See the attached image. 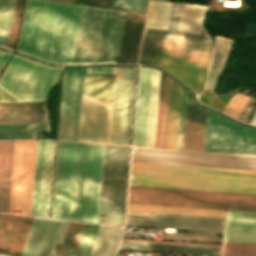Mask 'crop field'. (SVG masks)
<instances>
[{
    "label": "crop field",
    "instance_id": "425ffa30",
    "mask_svg": "<svg viewBox=\"0 0 256 256\" xmlns=\"http://www.w3.org/2000/svg\"><path fill=\"white\" fill-rule=\"evenodd\" d=\"M122 240L142 241V242H157V241H143V240H129V239H122ZM157 243H171V242H157ZM171 244L200 245V244H186V243H171ZM200 246H214V245H200ZM214 247H221V246H214Z\"/></svg>",
    "mask_w": 256,
    "mask_h": 256
},
{
    "label": "crop field",
    "instance_id": "00972430",
    "mask_svg": "<svg viewBox=\"0 0 256 256\" xmlns=\"http://www.w3.org/2000/svg\"><path fill=\"white\" fill-rule=\"evenodd\" d=\"M119 249L219 256L221 248L121 241Z\"/></svg>",
    "mask_w": 256,
    "mask_h": 256
},
{
    "label": "crop field",
    "instance_id": "214f88e0",
    "mask_svg": "<svg viewBox=\"0 0 256 256\" xmlns=\"http://www.w3.org/2000/svg\"><path fill=\"white\" fill-rule=\"evenodd\" d=\"M145 16L127 13L117 64L136 63Z\"/></svg>",
    "mask_w": 256,
    "mask_h": 256
},
{
    "label": "crop field",
    "instance_id": "5142ce71",
    "mask_svg": "<svg viewBox=\"0 0 256 256\" xmlns=\"http://www.w3.org/2000/svg\"><path fill=\"white\" fill-rule=\"evenodd\" d=\"M55 141H38L31 215L48 217Z\"/></svg>",
    "mask_w": 256,
    "mask_h": 256
},
{
    "label": "crop field",
    "instance_id": "d32e631a",
    "mask_svg": "<svg viewBox=\"0 0 256 256\" xmlns=\"http://www.w3.org/2000/svg\"><path fill=\"white\" fill-rule=\"evenodd\" d=\"M222 256H256V244L224 242Z\"/></svg>",
    "mask_w": 256,
    "mask_h": 256
},
{
    "label": "crop field",
    "instance_id": "bc2a9ffb",
    "mask_svg": "<svg viewBox=\"0 0 256 256\" xmlns=\"http://www.w3.org/2000/svg\"><path fill=\"white\" fill-rule=\"evenodd\" d=\"M61 223L35 219L22 256H51Z\"/></svg>",
    "mask_w": 256,
    "mask_h": 256
},
{
    "label": "crop field",
    "instance_id": "3316defc",
    "mask_svg": "<svg viewBox=\"0 0 256 256\" xmlns=\"http://www.w3.org/2000/svg\"><path fill=\"white\" fill-rule=\"evenodd\" d=\"M136 71L116 68L109 144L129 146Z\"/></svg>",
    "mask_w": 256,
    "mask_h": 256
},
{
    "label": "crop field",
    "instance_id": "b80d0937",
    "mask_svg": "<svg viewBox=\"0 0 256 256\" xmlns=\"http://www.w3.org/2000/svg\"><path fill=\"white\" fill-rule=\"evenodd\" d=\"M22 4H23V0H16L11 30H10V35H9V41H8V46H7V48L10 50L14 49V44H15Z\"/></svg>",
    "mask_w": 256,
    "mask_h": 256
},
{
    "label": "crop field",
    "instance_id": "bd1437ed",
    "mask_svg": "<svg viewBox=\"0 0 256 256\" xmlns=\"http://www.w3.org/2000/svg\"><path fill=\"white\" fill-rule=\"evenodd\" d=\"M33 218L20 216L8 251L9 256H20Z\"/></svg>",
    "mask_w": 256,
    "mask_h": 256
},
{
    "label": "crop field",
    "instance_id": "d3111659",
    "mask_svg": "<svg viewBox=\"0 0 256 256\" xmlns=\"http://www.w3.org/2000/svg\"><path fill=\"white\" fill-rule=\"evenodd\" d=\"M128 210L134 211H148V212H162V213H176V214H190V215H204V216H218L224 217L225 211L218 210H204V209H190V208H176V207H162V206H148V205H134L128 204Z\"/></svg>",
    "mask_w": 256,
    "mask_h": 256
},
{
    "label": "crop field",
    "instance_id": "412701ff",
    "mask_svg": "<svg viewBox=\"0 0 256 256\" xmlns=\"http://www.w3.org/2000/svg\"><path fill=\"white\" fill-rule=\"evenodd\" d=\"M124 15L85 6L74 64H115Z\"/></svg>",
    "mask_w": 256,
    "mask_h": 256
},
{
    "label": "crop field",
    "instance_id": "1f2cbd36",
    "mask_svg": "<svg viewBox=\"0 0 256 256\" xmlns=\"http://www.w3.org/2000/svg\"><path fill=\"white\" fill-rule=\"evenodd\" d=\"M63 1H70V2H73V0H63Z\"/></svg>",
    "mask_w": 256,
    "mask_h": 256
},
{
    "label": "crop field",
    "instance_id": "e52e79f7",
    "mask_svg": "<svg viewBox=\"0 0 256 256\" xmlns=\"http://www.w3.org/2000/svg\"><path fill=\"white\" fill-rule=\"evenodd\" d=\"M130 148L105 145L98 223L123 226Z\"/></svg>",
    "mask_w": 256,
    "mask_h": 256
},
{
    "label": "crop field",
    "instance_id": "a9b5d70f",
    "mask_svg": "<svg viewBox=\"0 0 256 256\" xmlns=\"http://www.w3.org/2000/svg\"><path fill=\"white\" fill-rule=\"evenodd\" d=\"M14 141H0V211L7 212Z\"/></svg>",
    "mask_w": 256,
    "mask_h": 256
},
{
    "label": "crop field",
    "instance_id": "0bd39190",
    "mask_svg": "<svg viewBox=\"0 0 256 256\" xmlns=\"http://www.w3.org/2000/svg\"><path fill=\"white\" fill-rule=\"evenodd\" d=\"M165 75L161 73L154 147L159 148Z\"/></svg>",
    "mask_w": 256,
    "mask_h": 256
},
{
    "label": "crop field",
    "instance_id": "028f5c9d",
    "mask_svg": "<svg viewBox=\"0 0 256 256\" xmlns=\"http://www.w3.org/2000/svg\"><path fill=\"white\" fill-rule=\"evenodd\" d=\"M85 225L70 222L62 245L77 248Z\"/></svg>",
    "mask_w": 256,
    "mask_h": 256
},
{
    "label": "crop field",
    "instance_id": "25e5ab78",
    "mask_svg": "<svg viewBox=\"0 0 256 256\" xmlns=\"http://www.w3.org/2000/svg\"><path fill=\"white\" fill-rule=\"evenodd\" d=\"M205 114H206V108H204V112H203V123H202V135H201V146H200V151H202V146H203V135H204V125H205Z\"/></svg>",
    "mask_w": 256,
    "mask_h": 256
},
{
    "label": "crop field",
    "instance_id": "ac0d7876",
    "mask_svg": "<svg viewBox=\"0 0 256 256\" xmlns=\"http://www.w3.org/2000/svg\"><path fill=\"white\" fill-rule=\"evenodd\" d=\"M83 6L27 0L17 51L71 64Z\"/></svg>",
    "mask_w": 256,
    "mask_h": 256
},
{
    "label": "crop field",
    "instance_id": "73cf0c24",
    "mask_svg": "<svg viewBox=\"0 0 256 256\" xmlns=\"http://www.w3.org/2000/svg\"><path fill=\"white\" fill-rule=\"evenodd\" d=\"M214 154H220V153H214ZM221 155H235V154H221ZM236 156H250V155H236ZM251 157H256V156H251Z\"/></svg>",
    "mask_w": 256,
    "mask_h": 256
},
{
    "label": "crop field",
    "instance_id": "d9b57169",
    "mask_svg": "<svg viewBox=\"0 0 256 256\" xmlns=\"http://www.w3.org/2000/svg\"><path fill=\"white\" fill-rule=\"evenodd\" d=\"M172 79L167 77L160 148H165ZM182 86L173 81L166 149H176ZM187 90L183 88L177 149H181Z\"/></svg>",
    "mask_w": 256,
    "mask_h": 256
},
{
    "label": "crop field",
    "instance_id": "8a807250",
    "mask_svg": "<svg viewBox=\"0 0 256 256\" xmlns=\"http://www.w3.org/2000/svg\"><path fill=\"white\" fill-rule=\"evenodd\" d=\"M103 150L59 141L51 217L97 223Z\"/></svg>",
    "mask_w": 256,
    "mask_h": 256
},
{
    "label": "crop field",
    "instance_id": "120bbe31",
    "mask_svg": "<svg viewBox=\"0 0 256 256\" xmlns=\"http://www.w3.org/2000/svg\"><path fill=\"white\" fill-rule=\"evenodd\" d=\"M144 36L210 42L208 35L149 28H145Z\"/></svg>",
    "mask_w": 256,
    "mask_h": 256
},
{
    "label": "crop field",
    "instance_id": "cbeb9de0",
    "mask_svg": "<svg viewBox=\"0 0 256 256\" xmlns=\"http://www.w3.org/2000/svg\"><path fill=\"white\" fill-rule=\"evenodd\" d=\"M129 203L256 212V201L130 192Z\"/></svg>",
    "mask_w": 256,
    "mask_h": 256
},
{
    "label": "crop field",
    "instance_id": "dbb93151",
    "mask_svg": "<svg viewBox=\"0 0 256 256\" xmlns=\"http://www.w3.org/2000/svg\"><path fill=\"white\" fill-rule=\"evenodd\" d=\"M1 215V214H0Z\"/></svg>",
    "mask_w": 256,
    "mask_h": 256
},
{
    "label": "crop field",
    "instance_id": "28ad6ade",
    "mask_svg": "<svg viewBox=\"0 0 256 256\" xmlns=\"http://www.w3.org/2000/svg\"><path fill=\"white\" fill-rule=\"evenodd\" d=\"M37 141H15L9 209L30 215Z\"/></svg>",
    "mask_w": 256,
    "mask_h": 256
},
{
    "label": "crop field",
    "instance_id": "dd49c442",
    "mask_svg": "<svg viewBox=\"0 0 256 256\" xmlns=\"http://www.w3.org/2000/svg\"><path fill=\"white\" fill-rule=\"evenodd\" d=\"M60 69L13 55L0 78V88L18 101H43ZM2 90L0 103L17 102Z\"/></svg>",
    "mask_w": 256,
    "mask_h": 256
},
{
    "label": "crop field",
    "instance_id": "d1516ede",
    "mask_svg": "<svg viewBox=\"0 0 256 256\" xmlns=\"http://www.w3.org/2000/svg\"><path fill=\"white\" fill-rule=\"evenodd\" d=\"M132 161L256 170V158L135 149Z\"/></svg>",
    "mask_w": 256,
    "mask_h": 256
},
{
    "label": "crop field",
    "instance_id": "c21b1889",
    "mask_svg": "<svg viewBox=\"0 0 256 256\" xmlns=\"http://www.w3.org/2000/svg\"><path fill=\"white\" fill-rule=\"evenodd\" d=\"M19 216L11 215L0 247V254L6 255Z\"/></svg>",
    "mask_w": 256,
    "mask_h": 256
},
{
    "label": "crop field",
    "instance_id": "730fd06b",
    "mask_svg": "<svg viewBox=\"0 0 256 256\" xmlns=\"http://www.w3.org/2000/svg\"><path fill=\"white\" fill-rule=\"evenodd\" d=\"M127 218L215 223V224H223V221H224V218H217V217H203V216H189V215H175V214H161V213H147V212H133V211H127Z\"/></svg>",
    "mask_w": 256,
    "mask_h": 256
},
{
    "label": "crop field",
    "instance_id": "22f410ed",
    "mask_svg": "<svg viewBox=\"0 0 256 256\" xmlns=\"http://www.w3.org/2000/svg\"><path fill=\"white\" fill-rule=\"evenodd\" d=\"M151 69L140 68L133 146L144 147ZM160 72L152 69L145 147H153Z\"/></svg>",
    "mask_w": 256,
    "mask_h": 256
},
{
    "label": "crop field",
    "instance_id": "d8731c3e",
    "mask_svg": "<svg viewBox=\"0 0 256 256\" xmlns=\"http://www.w3.org/2000/svg\"><path fill=\"white\" fill-rule=\"evenodd\" d=\"M210 52L209 44L164 39L158 67L166 69L199 94Z\"/></svg>",
    "mask_w": 256,
    "mask_h": 256
},
{
    "label": "crop field",
    "instance_id": "5d738f31",
    "mask_svg": "<svg viewBox=\"0 0 256 256\" xmlns=\"http://www.w3.org/2000/svg\"><path fill=\"white\" fill-rule=\"evenodd\" d=\"M10 215L2 214L0 218V244Z\"/></svg>",
    "mask_w": 256,
    "mask_h": 256
},
{
    "label": "crop field",
    "instance_id": "eef30255",
    "mask_svg": "<svg viewBox=\"0 0 256 256\" xmlns=\"http://www.w3.org/2000/svg\"><path fill=\"white\" fill-rule=\"evenodd\" d=\"M228 39L215 37V44L212 52L211 63L205 90H213L216 77L223 65L228 50Z\"/></svg>",
    "mask_w": 256,
    "mask_h": 256
},
{
    "label": "crop field",
    "instance_id": "89e229c0",
    "mask_svg": "<svg viewBox=\"0 0 256 256\" xmlns=\"http://www.w3.org/2000/svg\"><path fill=\"white\" fill-rule=\"evenodd\" d=\"M255 120H256V114L254 115V117H253V119H252V121H251V124H254ZM255 125H256V124H255Z\"/></svg>",
    "mask_w": 256,
    "mask_h": 256
},
{
    "label": "crop field",
    "instance_id": "03da06ac",
    "mask_svg": "<svg viewBox=\"0 0 256 256\" xmlns=\"http://www.w3.org/2000/svg\"><path fill=\"white\" fill-rule=\"evenodd\" d=\"M129 191L151 192V193H166V194H180V195H195V196H210V197H224V198H239V199H253V200H256V198H253V197H239V196L209 195V194H195V193H180V192H165V191H151V190H136V189H129Z\"/></svg>",
    "mask_w": 256,
    "mask_h": 256
},
{
    "label": "crop field",
    "instance_id": "1d83c4d3",
    "mask_svg": "<svg viewBox=\"0 0 256 256\" xmlns=\"http://www.w3.org/2000/svg\"><path fill=\"white\" fill-rule=\"evenodd\" d=\"M15 0H0V46L6 48Z\"/></svg>",
    "mask_w": 256,
    "mask_h": 256
},
{
    "label": "crop field",
    "instance_id": "92a150f3",
    "mask_svg": "<svg viewBox=\"0 0 256 256\" xmlns=\"http://www.w3.org/2000/svg\"><path fill=\"white\" fill-rule=\"evenodd\" d=\"M224 241L256 243V214L227 212Z\"/></svg>",
    "mask_w": 256,
    "mask_h": 256
},
{
    "label": "crop field",
    "instance_id": "4177f3b9",
    "mask_svg": "<svg viewBox=\"0 0 256 256\" xmlns=\"http://www.w3.org/2000/svg\"><path fill=\"white\" fill-rule=\"evenodd\" d=\"M123 229L100 226L90 256H114Z\"/></svg>",
    "mask_w": 256,
    "mask_h": 256
},
{
    "label": "crop field",
    "instance_id": "e1f06a70",
    "mask_svg": "<svg viewBox=\"0 0 256 256\" xmlns=\"http://www.w3.org/2000/svg\"><path fill=\"white\" fill-rule=\"evenodd\" d=\"M146 0H115L110 8L145 14Z\"/></svg>",
    "mask_w": 256,
    "mask_h": 256
},
{
    "label": "crop field",
    "instance_id": "750c4746",
    "mask_svg": "<svg viewBox=\"0 0 256 256\" xmlns=\"http://www.w3.org/2000/svg\"><path fill=\"white\" fill-rule=\"evenodd\" d=\"M163 39L143 37L138 64L158 65Z\"/></svg>",
    "mask_w": 256,
    "mask_h": 256
},
{
    "label": "crop field",
    "instance_id": "733c2abd",
    "mask_svg": "<svg viewBox=\"0 0 256 256\" xmlns=\"http://www.w3.org/2000/svg\"><path fill=\"white\" fill-rule=\"evenodd\" d=\"M84 68H66L59 135L78 137Z\"/></svg>",
    "mask_w": 256,
    "mask_h": 256
},
{
    "label": "crop field",
    "instance_id": "ae1a2a85",
    "mask_svg": "<svg viewBox=\"0 0 256 256\" xmlns=\"http://www.w3.org/2000/svg\"><path fill=\"white\" fill-rule=\"evenodd\" d=\"M34 131H47V124L0 125V140L34 139Z\"/></svg>",
    "mask_w": 256,
    "mask_h": 256
},
{
    "label": "crop field",
    "instance_id": "dafd665d",
    "mask_svg": "<svg viewBox=\"0 0 256 256\" xmlns=\"http://www.w3.org/2000/svg\"><path fill=\"white\" fill-rule=\"evenodd\" d=\"M202 112L188 92L182 149L199 151Z\"/></svg>",
    "mask_w": 256,
    "mask_h": 256
},
{
    "label": "crop field",
    "instance_id": "4a817a6b",
    "mask_svg": "<svg viewBox=\"0 0 256 256\" xmlns=\"http://www.w3.org/2000/svg\"><path fill=\"white\" fill-rule=\"evenodd\" d=\"M168 3L149 1L148 18L145 27L164 29ZM206 6L188 4L182 19L180 31L199 33Z\"/></svg>",
    "mask_w": 256,
    "mask_h": 256
},
{
    "label": "crop field",
    "instance_id": "b54c1fbb",
    "mask_svg": "<svg viewBox=\"0 0 256 256\" xmlns=\"http://www.w3.org/2000/svg\"><path fill=\"white\" fill-rule=\"evenodd\" d=\"M129 188L151 189V190H166V191H180V192H195V193H210V194H224V195H239V196H254V197H256V195H254V194L209 192V191H195V190H180V189H165V188H151V187H136V186H129Z\"/></svg>",
    "mask_w": 256,
    "mask_h": 256
},
{
    "label": "crop field",
    "instance_id": "d23c7cc5",
    "mask_svg": "<svg viewBox=\"0 0 256 256\" xmlns=\"http://www.w3.org/2000/svg\"><path fill=\"white\" fill-rule=\"evenodd\" d=\"M11 54L6 53L0 50V72L4 68L5 64L7 63L8 59L10 58Z\"/></svg>",
    "mask_w": 256,
    "mask_h": 256
},
{
    "label": "crop field",
    "instance_id": "5866460e",
    "mask_svg": "<svg viewBox=\"0 0 256 256\" xmlns=\"http://www.w3.org/2000/svg\"><path fill=\"white\" fill-rule=\"evenodd\" d=\"M99 226L87 224L76 256H89Z\"/></svg>",
    "mask_w": 256,
    "mask_h": 256
},
{
    "label": "crop field",
    "instance_id": "f4fd0767",
    "mask_svg": "<svg viewBox=\"0 0 256 256\" xmlns=\"http://www.w3.org/2000/svg\"><path fill=\"white\" fill-rule=\"evenodd\" d=\"M115 68H87L114 73ZM114 74H84L83 92L111 104ZM83 93L78 141L108 144L111 105Z\"/></svg>",
    "mask_w": 256,
    "mask_h": 256
},
{
    "label": "crop field",
    "instance_id": "5a996713",
    "mask_svg": "<svg viewBox=\"0 0 256 256\" xmlns=\"http://www.w3.org/2000/svg\"><path fill=\"white\" fill-rule=\"evenodd\" d=\"M203 151L256 155V130L207 109Z\"/></svg>",
    "mask_w": 256,
    "mask_h": 256
},
{
    "label": "crop field",
    "instance_id": "c035e120",
    "mask_svg": "<svg viewBox=\"0 0 256 256\" xmlns=\"http://www.w3.org/2000/svg\"><path fill=\"white\" fill-rule=\"evenodd\" d=\"M247 99V96H243L238 93L234 98L230 100L229 104L224 110V113L231 115L237 119Z\"/></svg>",
    "mask_w": 256,
    "mask_h": 256
},
{
    "label": "crop field",
    "instance_id": "34b2d1b8",
    "mask_svg": "<svg viewBox=\"0 0 256 256\" xmlns=\"http://www.w3.org/2000/svg\"><path fill=\"white\" fill-rule=\"evenodd\" d=\"M129 185L256 194V171L131 162Z\"/></svg>",
    "mask_w": 256,
    "mask_h": 256
}]
</instances>
